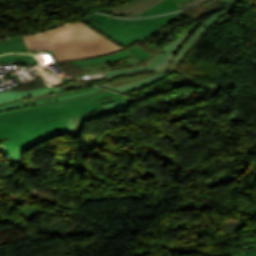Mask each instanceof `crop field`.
<instances>
[{
	"instance_id": "8a807250",
	"label": "crop field",
	"mask_w": 256,
	"mask_h": 256,
	"mask_svg": "<svg viewBox=\"0 0 256 256\" xmlns=\"http://www.w3.org/2000/svg\"><path fill=\"white\" fill-rule=\"evenodd\" d=\"M128 100L120 95L100 102H91L19 114L0 120V141L11 157L20 158L18 150L47 138L68 132L65 117H77L100 109L109 102Z\"/></svg>"
},
{
	"instance_id": "ac0d7876",
	"label": "crop field",
	"mask_w": 256,
	"mask_h": 256,
	"mask_svg": "<svg viewBox=\"0 0 256 256\" xmlns=\"http://www.w3.org/2000/svg\"><path fill=\"white\" fill-rule=\"evenodd\" d=\"M23 38L29 51L52 50L57 61L97 57L123 49L80 22Z\"/></svg>"
},
{
	"instance_id": "34b2d1b8",
	"label": "crop field",
	"mask_w": 256,
	"mask_h": 256,
	"mask_svg": "<svg viewBox=\"0 0 256 256\" xmlns=\"http://www.w3.org/2000/svg\"><path fill=\"white\" fill-rule=\"evenodd\" d=\"M180 14L182 11L142 20H121L92 14L84 20L128 47L137 40L146 41Z\"/></svg>"
},
{
	"instance_id": "412701ff",
	"label": "crop field",
	"mask_w": 256,
	"mask_h": 256,
	"mask_svg": "<svg viewBox=\"0 0 256 256\" xmlns=\"http://www.w3.org/2000/svg\"><path fill=\"white\" fill-rule=\"evenodd\" d=\"M199 23H195L193 26H191L188 30H186L182 35H180L178 38H176L174 41L169 43L167 46H165L162 50L165 53L158 54L157 58L155 59L154 63H151L144 67L139 68H131V69H124V70H117V71H111L105 73L106 77L102 78H108L112 76H118V75H124L131 72H136L143 69H156L157 71H163L167 64L174 58V56L177 54V52L180 50L182 45L185 43L186 39L193 33V31L198 27ZM100 79V78H98Z\"/></svg>"
},
{
	"instance_id": "f4fd0767",
	"label": "crop field",
	"mask_w": 256,
	"mask_h": 256,
	"mask_svg": "<svg viewBox=\"0 0 256 256\" xmlns=\"http://www.w3.org/2000/svg\"><path fill=\"white\" fill-rule=\"evenodd\" d=\"M100 89L101 88L93 86L90 88L67 92V93H60V94H56V95H49V96L38 97V98H33V99H28V100L16 101V102H12V103H6L3 105H0V112L31 107V106L49 103V102H53V101H59V100L80 97V96H84L87 94L95 93V92L99 91Z\"/></svg>"
},
{
	"instance_id": "dd49c442",
	"label": "crop field",
	"mask_w": 256,
	"mask_h": 256,
	"mask_svg": "<svg viewBox=\"0 0 256 256\" xmlns=\"http://www.w3.org/2000/svg\"><path fill=\"white\" fill-rule=\"evenodd\" d=\"M132 101H125V102H116V103H110V104H104L102 105V109L77 117V118H66L67 119V124H68V129L69 133L74 136L79 138L80 133H81V128H82V122L88 121L91 119L99 118L102 116L110 115V114H115V113H121L125 112L127 108L131 105ZM80 139V138H79Z\"/></svg>"
},
{
	"instance_id": "e52e79f7",
	"label": "crop field",
	"mask_w": 256,
	"mask_h": 256,
	"mask_svg": "<svg viewBox=\"0 0 256 256\" xmlns=\"http://www.w3.org/2000/svg\"><path fill=\"white\" fill-rule=\"evenodd\" d=\"M117 95L118 94L113 93L109 90H106L104 92H100V93H97V94H94V95H91V96H87V97L76 98V99L60 101V102H54V103L39 105V106L31 107V108L0 113V119L6 118V117H9V116H12V115H16V114H19V113H23V112H29V111H34V110H40V109H46V108H52V107H59V106H65V105H72V104H78V103H85V102H91V101H99V100L114 97V96H117Z\"/></svg>"
},
{
	"instance_id": "d8731c3e",
	"label": "crop field",
	"mask_w": 256,
	"mask_h": 256,
	"mask_svg": "<svg viewBox=\"0 0 256 256\" xmlns=\"http://www.w3.org/2000/svg\"><path fill=\"white\" fill-rule=\"evenodd\" d=\"M239 6L235 5L231 8L225 9L223 11H220L216 14H214L212 17H210L207 21L204 23L200 24L199 27L194 31V33L187 39L186 43L184 46L181 48L179 53L176 55L174 60L176 61H183L185 58L186 54L189 52V50L192 48V46L195 44V42L198 40V38L201 36V34L214 22H216L219 18L224 16L226 13L232 11L233 9L237 8ZM219 16V17H217ZM192 43V45H190Z\"/></svg>"
},
{
	"instance_id": "5a996713",
	"label": "crop field",
	"mask_w": 256,
	"mask_h": 256,
	"mask_svg": "<svg viewBox=\"0 0 256 256\" xmlns=\"http://www.w3.org/2000/svg\"><path fill=\"white\" fill-rule=\"evenodd\" d=\"M161 1L163 0H133L109 9L108 11L119 14V17H133L152 8Z\"/></svg>"
},
{
	"instance_id": "3316defc",
	"label": "crop field",
	"mask_w": 256,
	"mask_h": 256,
	"mask_svg": "<svg viewBox=\"0 0 256 256\" xmlns=\"http://www.w3.org/2000/svg\"><path fill=\"white\" fill-rule=\"evenodd\" d=\"M59 92H63L62 89L60 88V86L53 88V89L46 86L43 88L28 90V91H24V92H16V91L7 90V91L0 92V104L6 103V102H11V101H16V100L44 96V95H48V94H55V93H59Z\"/></svg>"
},
{
	"instance_id": "28ad6ade",
	"label": "crop field",
	"mask_w": 256,
	"mask_h": 256,
	"mask_svg": "<svg viewBox=\"0 0 256 256\" xmlns=\"http://www.w3.org/2000/svg\"><path fill=\"white\" fill-rule=\"evenodd\" d=\"M0 62H17V64L34 65L35 71L43 78L46 73H51V71L42 66V64L35 58V56L30 54H6L0 56Z\"/></svg>"
},
{
	"instance_id": "d1516ede",
	"label": "crop field",
	"mask_w": 256,
	"mask_h": 256,
	"mask_svg": "<svg viewBox=\"0 0 256 256\" xmlns=\"http://www.w3.org/2000/svg\"><path fill=\"white\" fill-rule=\"evenodd\" d=\"M163 73H164V75H162V73H161V74H159L157 76H154V77H151V78H147V79H144V80H141V81H137V82L121 85V86H118L116 88H113V87H111V86H109L107 84H102V85H98V86L103 87V88H107V89H110V90H113V91H117V92H120V93L124 94V93L130 92L132 90L138 89L140 87H143L145 85H148L150 83H153V82H156L158 80H161V79L167 77L168 75H170L173 72L166 71V72H163Z\"/></svg>"
},
{
	"instance_id": "22f410ed",
	"label": "crop field",
	"mask_w": 256,
	"mask_h": 256,
	"mask_svg": "<svg viewBox=\"0 0 256 256\" xmlns=\"http://www.w3.org/2000/svg\"><path fill=\"white\" fill-rule=\"evenodd\" d=\"M128 56L135 58L128 50L124 49V50L114 53L112 55L91 58V59H85V60H79V61H73L72 63L79 65V66H90V65L104 64V63L118 60V59L128 57Z\"/></svg>"
},
{
	"instance_id": "cbeb9de0",
	"label": "crop field",
	"mask_w": 256,
	"mask_h": 256,
	"mask_svg": "<svg viewBox=\"0 0 256 256\" xmlns=\"http://www.w3.org/2000/svg\"><path fill=\"white\" fill-rule=\"evenodd\" d=\"M175 10H180L179 7L173 2V0H164L159 5H156L154 8L149 9L146 12H143L142 14L136 16V17H144V16H150V15H157L161 13L166 12H172ZM135 18V17H133Z\"/></svg>"
},
{
	"instance_id": "5142ce71",
	"label": "crop field",
	"mask_w": 256,
	"mask_h": 256,
	"mask_svg": "<svg viewBox=\"0 0 256 256\" xmlns=\"http://www.w3.org/2000/svg\"><path fill=\"white\" fill-rule=\"evenodd\" d=\"M10 51H28L22 37L0 43V53Z\"/></svg>"
},
{
	"instance_id": "d9b57169",
	"label": "crop field",
	"mask_w": 256,
	"mask_h": 256,
	"mask_svg": "<svg viewBox=\"0 0 256 256\" xmlns=\"http://www.w3.org/2000/svg\"><path fill=\"white\" fill-rule=\"evenodd\" d=\"M128 49L138 60H148L150 57H154L137 45Z\"/></svg>"
},
{
	"instance_id": "733c2abd",
	"label": "crop field",
	"mask_w": 256,
	"mask_h": 256,
	"mask_svg": "<svg viewBox=\"0 0 256 256\" xmlns=\"http://www.w3.org/2000/svg\"><path fill=\"white\" fill-rule=\"evenodd\" d=\"M241 250L245 256H256V244L242 247Z\"/></svg>"
},
{
	"instance_id": "4a817a6b",
	"label": "crop field",
	"mask_w": 256,
	"mask_h": 256,
	"mask_svg": "<svg viewBox=\"0 0 256 256\" xmlns=\"http://www.w3.org/2000/svg\"><path fill=\"white\" fill-rule=\"evenodd\" d=\"M174 1L180 7V9H182L186 6L198 3V2L203 1V0H174Z\"/></svg>"
},
{
	"instance_id": "bc2a9ffb",
	"label": "crop field",
	"mask_w": 256,
	"mask_h": 256,
	"mask_svg": "<svg viewBox=\"0 0 256 256\" xmlns=\"http://www.w3.org/2000/svg\"><path fill=\"white\" fill-rule=\"evenodd\" d=\"M43 52H48L53 57V60L55 59L51 51H40V52H11V53H34L35 55L41 54Z\"/></svg>"
},
{
	"instance_id": "214f88e0",
	"label": "crop field",
	"mask_w": 256,
	"mask_h": 256,
	"mask_svg": "<svg viewBox=\"0 0 256 256\" xmlns=\"http://www.w3.org/2000/svg\"><path fill=\"white\" fill-rule=\"evenodd\" d=\"M3 149V146H0V150Z\"/></svg>"
},
{
	"instance_id": "92a150f3",
	"label": "crop field",
	"mask_w": 256,
	"mask_h": 256,
	"mask_svg": "<svg viewBox=\"0 0 256 256\" xmlns=\"http://www.w3.org/2000/svg\"><path fill=\"white\" fill-rule=\"evenodd\" d=\"M239 256H244V255H239Z\"/></svg>"
}]
</instances>
